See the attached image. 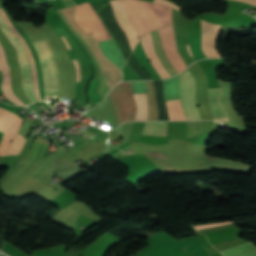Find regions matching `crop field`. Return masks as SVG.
I'll return each mask as SVG.
<instances>
[{
  "label": "crop field",
  "instance_id": "crop-field-1",
  "mask_svg": "<svg viewBox=\"0 0 256 256\" xmlns=\"http://www.w3.org/2000/svg\"><path fill=\"white\" fill-rule=\"evenodd\" d=\"M118 123L134 120L136 104L132 96L131 82H120L108 93Z\"/></svg>",
  "mask_w": 256,
  "mask_h": 256
},
{
  "label": "crop field",
  "instance_id": "crop-field-2",
  "mask_svg": "<svg viewBox=\"0 0 256 256\" xmlns=\"http://www.w3.org/2000/svg\"><path fill=\"white\" fill-rule=\"evenodd\" d=\"M180 85L181 102L187 120H201L195 100V78L189 70L178 77Z\"/></svg>",
  "mask_w": 256,
  "mask_h": 256
},
{
  "label": "crop field",
  "instance_id": "crop-field-3",
  "mask_svg": "<svg viewBox=\"0 0 256 256\" xmlns=\"http://www.w3.org/2000/svg\"><path fill=\"white\" fill-rule=\"evenodd\" d=\"M82 6L86 10L90 18L92 19L93 23L95 24V26L97 27L101 35L103 36L104 40L111 39L110 34L108 33V31L106 30V28L104 27L100 19L98 18L97 14L95 13L91 5L87 2L82 4ZM82 6L80 4V5H77L76 7V13H75L76 22L83 29L91 33L98 41H102L103 40L102 36L98 32V30L96 29V27L94 26V24L92 23V21L90 20L89 16L87 15V13L85 12Z\"/></svg>",
  "mask_w": 256,
  "mask_h": 256
},
{
  "label": "crop field",
  "instance_id": "crop-field-4",
  "mask_svg": "<svg viewBox=\"0 0 256 256\" xmlns=\"http://www.w3.org/2000/svg\"><path fill=\"white\" fill-rule=\"evenodd\" d=\"M160 35L161 44L163 49L169 59V61L176 68L178 73L185 70L186 65L182 57L178 54L176 50V42L173 31V25L166 26L158 30Z\"/></svg>",
  "mask_w": 256,
  "mask_h": 256
},
{
  "label": "crop field",
  "instance_id": "crop-field-5",
  "mask_svg": "<svg viewBox=\"0 0 256 256\" xmlns=\"http://www.w3.org/2000/svg\"><path fill=\"white\" fill-rule=\"evenodd\" d=\"M24 120L10 113L0 109V130L6 132L2 142L0 143V155H4L9 141L13 138L18 131Z\"/></svg>",
  "mask_w": 256,
  "mask_h": 256
},
{
  "label": "crop field",
  "instance_id": "crop-field-6",
  "mask_svg": "<svg viewBox=\"0 0 256 256\" xmlns=\"http://www.w3.org/2000/svg\"><path fill=\"white\" fill-rule=\"evenodd\" d=\"M201 33H202V50L208 57H220L219 53L215 49L217 39L219 37L220 25H213L201 21Z\"/></svg>",
  "mask_w": 256,
  "mask_h": 256
},
{
  "label": "crop field",
  "instance_id": "crop-field-7",
  "mask_svg": "<svg viewBox=\"0 0 256 256\" xmlns=\"http://www.w3.org/2000/svg\"><path fill=\"white\" fill-rule=\"evenodd\" d=\"M208 97L213 120L228 121V115L224 103L223 88L208 90Z\"/></svg>",
  "mask_w": 256,
  "mask_h": 256
},
{
  "label": "crop field",
  "instance_id": "crop-field-8",
  "mask_svg": "<svg viewBox=\"0 0 256 256\" xmlns=\"http://www.w3.org/2000/svg\"><path fill=\"white\" fill-rule=\"evenodd\" d=\"M144 50L153 66L161 78L169 77V73L166 71L160 60L158 59L154 44L151 38V34L144 35L141 39Z\"/></svg>",
  "mask_w": 256,
  "mask_h": 256
},
{
  "label": "crop field",
  "instance_id": "crop-field-9",
  "mask_svg": "<svg viewBox=\"0 0 256 256\" xmlns=\"http://www.w3.org/2000/svg\"><path fill=\"white\" fill-rule=\"evenodd\" d=\"M0 70H2V76H3L2 89L5 97L11 100L16 105H25L12 92L11 84H10V76H9V67L5 62L1 48H0Z\"/></svg>",
  "mask_w": 256,
  "mask_h": 256
},
{
  "label": "crop field",
  "instance_id": "crop-field-10",
  "mask_svg": "<svg viewBox=\"0 0 256 256\" xmlns=\"http://www.w3.org/2000/svg\"><path fill=\"white\" fill-rule=\"evenodd\" d=\"M141 135L166 138V122H146Z\"/></svg>",
  "mask_w": 256,
  "mask_h": 256
},
{
  "label": "crop field",
  "instance_id": "crop-field-11",
  "mask_svg": "<svg viewBox=\"0 0 256 256\" xmlns=\"http://www.w3.org/2000/svg\"><path fill=\"white\" fill-rule=\"evenodd\" d=\"M134 98L137 103V113L135 120H147V94H134Z\"/></svg>",
  "mask_w": 256,
  "mask_h": 256
},
{
  "label": "crop field",
  "instance_id": "crop-field-12",
  "mask_svg": "<svg viewBox=\"0 0 256 256\" xmlns=\"http://www.w3.org/2000/svg\"><path fill=\"white\" fill-rule=\"evenodd\" d=\"M170 120H185L180 100L165 101Z\"/></svg>",
  "mask_w": 256,
  "mask_h": 256
},
{
  "label": "crop field",
  "instance_id": "crop-field-13",
  "mask_svg": "<svg viewBox=\"0 0 256 256\" xmlns=\"http://www.w3.org/2000/svg\"><path fill=\"white\" fill-rule=\"evenodd\" d=\"M1 10H2V8H1ZM1 10H0V12H1ZM2 11H3V10H2ZM3 13H4V12H3ZM1 14H2V12H1ZM2 15H3V14H2ZM4 15H5V14H4ZM4 15H3V17H4ZM5 17H6V19L8 20L9 24L12 26V28H13V29L16 31V33L20 36V34L17 32V30L13 27V25H12V23L10 22L9 18H8L6 15H5ZM5 17H4V18H5ZM6 19H5V20H6ZM7 20H6V22H7ZM8 22H7V24H8ZM9 24H8V25H9ZM10 25H9V27H10ZM10 28H11V27H10ZM12 28H11V29H12ZM13 29H12V31L14 32ZM14 33H15V32H14ZM16 33H15V34H16ZM17 34H16V35H17ZM18 35H17V37H18L19 40L23 43L25 49H26V46H27V49H28V51H29V53H30V49H29L28 45L26 44V42L24 41V39L20 36L21 39L25 42V44H26V46H25L24 42L20 39V37H19ZM27 49H26V52H27V55H28L29 60H30L31 53H30V56H29V53H28ZM31 60H32V63H33L34 77H35V82H36V92H37V94H38V96H39L38 88H37L36 70H35L34 61H33V59H32V56H31ZM31 60H30V63H31ZM33 70H32V64H31L32 78H33V82H34ZM35 82H34V91H35ZM36 92H35V94H36ZM37 94H36V98H37V100H39L40 96H39V98H38ZM40 99H41V98H40Z\"/></svg>",
  "mask_w": 256,
  "mask_h": 256
},
{
  "label": "crop field",
  "instance_id": "crop-field-14",
  "mask_svg": "<svg viewBox=\"0 0 256 256\" xmlns=\"http://www.w3.org/2000/svg\"><path fill=\"white\" fill-rule=\"evenodd\" d=\"M253 248H256V245L253 244L252 242H248V243L221 251L220 254L223 256H232V255H237L245 250H249Z\"/></svg>",
  "mask_w": 256,
  "mask_h": 256
},
{
  "label": "crop field",
  "instance_id": "crop-field-15",
  "mask_svg": "<svg viewBox=\"0 0 256 256\" xmlns=\"http://www.w3.org/2000/svg\"><path fill=\"white\" fill-rule=\"evenodd\" d=\"M24 141H25L24 138L17 133L16 136L13 138L5 155L18 154L22 148Z\"/></svg>",
  "mask_w": 256,
  "mask_h": 256
},
{
  "label": "crop field",
  "instance_id": "crop-field-16",
  "mask_svg": "<svg viewBox=\"0 0 256 256\" xmlns=\"http://www.w3.org/2000/svg\"><path fill=\"white\" fill-rule=\"evenodd\" d=\"M122 73V80H142L141 77L131 69L128 62L124 65Z\"/></svg>",
  "mask_w": 256,
  "mask_h": 256
},
{
  "label": "crop field",
  "instance_id": "crop-field-17",
  "mask_svg": "<svg viewBox=\"0 0 256 256\" xmlns=\"http://www.w3.org/2000/svg\"><path fill=\"white\" fill-rule=\"evenodd\" d=\"M227 224H233V221L198 225V226H195V229L200 230V229H206V228H211V227H216V226H221V225H227Z\"/></svg>",
  "mask_w": 256,
  "mask_h": 256
},
{
  "label": "crop field",
  "instance_id": "crop-field-18",
  "mask_svg": "<svg viewBox=\"0 0 256 256\" xmlns=\"http://www.w3.org/2000/svg\"><path fill=\"white\" fill-rule=\"evenodd\" d=\"M155 3H159L162 5H166V6H170V7H174L178 10H180V8H178L176 5H174L172 2L168 1V0H155Z\"/></svg>",
  "mask_w": 256,
  "mask_h": 256
},
{
  "label": "crop field",
  "instance_id": "crop-field-19",
  "mask_svg": "<svg viewBox=\"0 0 256 256\" xmlns=\"http://www.w3.org/2000/svg\"><path fill=\"white\" fill-rule=\"evenodd\" d=\"M73 1L77 5L79 3L86 2V1H89L90 3H93V2H104V1H107V0H73Z\"/></svg>",
  "mask_w": 256,
  "mask_h": 256
},
{
  "label": "crop field",
  "instance_id": "crop-field-20",
  "mask_svg": "<svg viewBox=\"0 0 256 256\" xmlns=\"http://www.w3.org/2000/svg\"><path fill=\"white\" fill-rule=\"evenodd\" d=\"M256 6V0H238Z\"/></svg>",
  "mask_w": 256,
  "mask_h": 256
},
{
  "label": "crop field",
  "instance_id": "crop-field-21",
  "mask_svg": "<svg viewBox=\"0 0 256 256\" xmlns=\"http://www.w3.org/2000/svg\"><path fill=\"white\" fill-rule=\"evenodd\" d=\"M72 61H73L74 65H75V68H78L76 60H72ZM76 71H77V81H79V70L76 69Z\"/></svg>",
  "mask_w": 256,
  "mask_h": 256
},
{
  "label": "crop field",
  "instance_id": "crop-field-22",
  "mask_svg": "<svg viewBox=\"0 0 256 256\" xmlns=\"http://www.w3.org/2000/svg\"><path fill=\"white\" fill-rule=\"evenodd\" d=\"M62 39H63V41H64V43H65V45H66L67 49H69V46H68V44H67V42H66V40H65L64 36H62Z\"/></svg>",
  "mask_w": 256,
  "mask_h": 256
},
{
  "label": "crop field",
  "instance_id": "crop-field-23",
  "mask_svg": "<svg viewBox=\"0 0 256 256\" xmlns=\"http://www.w3.org/2000/svg\"><path fill=\"white\" fill-rule=\"evenodd\" d=\"M187 50H188L189 54L191 55V57L194 59V57H193V55H192L190 49H187ZM194 61H195V59H194Z\"/></svg>",
  "mask_w": 256,
  "mask_h": 256
},
{
  "label": "crop field",
  "instance_id": "crop-field-24",
  "mask_svg": "<svg viewBox=\"0 0 256 256\" xmlns=\"http://www.w3.org/2000/svg\"><path fill=\"white\" fill-rule=\"evenodd\" d=\"M34 98H35V95H34ZM35 100H36V98H35ZM37 101V100H36Z\"/></svg>",
  "mask_w": 256,
  "mask_h": 256
}]
</instances>
